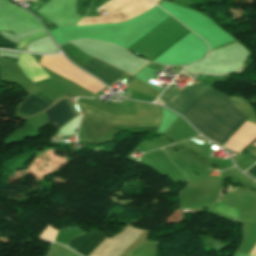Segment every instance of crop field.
Returning <instances> with one entry per match:
<instances>
[{
  "label": "crop field",
  "instance_id": "3316defc",
  "mask_svg": "<svg viewBox=\"0 0 256 256\" xmlns=\"http://www.w3.org/2000/svg\"><path fill=\"white\" fill-rule=\"evenodd\" d=\"M0 47H15V44L5 40L2 36H0Z\"/></svg>",
  "mask_w": 256,
  "mask_h": 256
},
{
  "label": "crop field",
  "instance_id": "34b2d1b8",
  "mask_svg": "<svg viewBox=\"0 0 256 256\" xmlns=\"http://www.w3.org/2000/svg\"><path fill=\"white\" fill-rule=\"evenodd\" d=\"M214 85L215 84L195 83L193 87L185 85L183 90L178 92L170 85L160 97L166 102L164 106L182 113L197 98L210 90Z\"/></svg>",
  "mask_w": 256,
  "mask_h": 256
},
{
  "label": "crop field",
  "instance_id": "dd49c442",
  "mask_svg": "<svg viewBox=\"0 0 256 256\" xmlns=\"http://www.w3.org/2000/svg\"><path fill=\"white\" fill-rule=\"evenodd\" d=\"M48 121L57 129L73 117L66 99H61L55 105L45 110Z\"/></svg>",
  "mask_w": 256,
  "mask_h": 256
},
{
  "label": "crop field",
  "instance_id": "5a996713",
  "mask_svg": "<svg viewBox=\"0 0 256 256\" xmlns=\"http://www.w3.org/2000/svg\"><path fill=\"white\" fill-rule=\"evenodd\" d=\"M91 233V232H90ZM90 233H86V234H82L79 236H75L72 237L68 243V247L72 248V249H76V247L79 245V243L86 237L88 236ZM81 244V243H80Z\"/></svg>",
  "mask_w": 256,
  "mask_h": 256
},
{
  "label": "crop field",
  "instance_id": "28ad6ade",
  "mask_svg": "<svg viewBox=\"0 0 256 256\" xmlns=\"http://www.w3.org/2000/svg\"><path fill=\"white\" fill-rule=\"evenodd\" d=\"M247 173H250V174H252V175H254L256 177V164L252 168H250L247 171Z\"/></svg>",
  "mask_w": 256,
  "mask_h": 256
},
{
  "label": "crop field",
  "instance_id": "d8731c3e",
  "mask_svg": "<svg viewBox=\"0 0 256 256\" xmlns=\"http://www.w3.org/2000/svg\"><path fill=\"white\" fill-rule=\"evenodd\" d=\"M97 231V230H96ZM93 232L75 251L82 254L83 256H87L91 250L106 236Z\"/></svg>",
  "mask_w": 256,
  "mask_h": 256
},
{
  "label": "crop field",
  "instance_id": "d1516ede",
  "mask_svg": "<svg viewBox=\"0 0 256 256\" xmlns=\"http://www.w3.org/2000/svg\"><path fill=\"white\" fill-rule=\"evenodd\" d=\"M252 145L256 146V142L254 144H252Z\"/></svg>",
  "mask_w": 256,
  "mask_h": 256
},
{
  "label": "crop field",
  "instance_id": "ac0d7876",
  "mask_svg": "<svg viewBox=\"0 0 256 256\" xmlns=\"http://www.w3.org/2000/svg\"><path fill=\"white\" fill-rule=\"evenodd\" d=\"M52 57L55 60H57L62 66H64L65 68H67L68 70H70L71 72H73L74 74H76L77 76L82 78L83 80H85L90 85H92L100 90L105 87L100 82H98L96 79L92 78L91 76L87 75L83 71H81L78 68H76L75 66H73L62 55H57V56H52ZM52 57L51 56H43L39 64L54 71L57 74L79 84L80 86H82L94 93L100 91V90L90 86L89 84L84 82L82 79H80L79 77H77L76 75H74L73 73H71L70 71L65 69L64 67H62Z\"/></svg>",
  "mask_w": 256,
  "mask_h": 256
},
{
  "label": "crop field",
  "instance_id": "8a807250",
  "mask_svg": "<svg viewBox=\"0 0 256 256\" xmlns=\"http://www.w3.org/2000/svg\"><path fill=\"white\" fill-rule=\"evenodd\" d=\"M182 114L199 132L221 145L248 118L231 100L212 89Z\"/></svg>",
  "mask_w": 256,
  "mask_h": 256
},
{
  "label": "crop field",
  "instance_id": "f4fd0767",
  "mask_svg": "<svg viewBox=\"0 0 256 256\" xmlns=\"http://www.w3.org/2000/svg\"><path fill=\"white\" fill-rule=\"evenodd\" d=\"M255 139L256 125L246 121L229 139L226 148L240 153L243 148Z\"/></svg>",
  "mask_w": 256,
  "mask_h": 256
},
{
  "label": "crop field",
  "instance_id": "412701ff",
  "mask_svg": "<svg viewBox=\"0 0 256 256\" xmlns=\"http://www.w3.org/2000/svg\"><path fill=\"white\" fill-rule=\"evenodd\" d=\"M81 68L98 77L108 87L124 73L119 69L105 64L95 58Z\"/></svg>",
  "mask_w": 256,
  "mask_h": 256
},
{
  "label": "crop field",
  "instance_id": "e52e79f7",
  "mask_svg": "<svg viewBox=\"0 0 256 256\" xmlns=\"http://www.w3.org/2000/svg\"><path fill=\"white\" fill-rule=\"evenodd\" d=\"M46 102L41 100L37 96L29 95L24 102L18 107V109L25 111L31 115H34L47 107H49Z\"/></svg>",
  "mask_w": 256,
  "mask_h": 256
}]
</instances>
